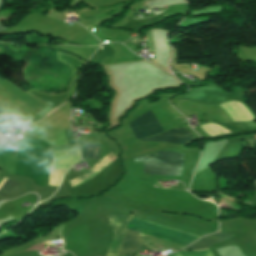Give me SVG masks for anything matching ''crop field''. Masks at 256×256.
<instances>
[{
    "mask_svg": "<svg viewBox=\"0 0 256 256\" xmlns=\"http://www.w3.org/2000/svg\"><path fill=\"white\" fill-rule=\"evenodd\" d=\"M133 219H131V221L129 223L137 225V226H141V227H144V228H147V229H150V230H154V231H157V232H160V233L171 235V236H174V237H177V238H181V239H184V240H187V241L193 242L197 238H200V236L189 234V233L179 231V230H176V229H172V228H168V227H164V226H160V225H157V224L150 223V224H153V225H156V226L167 228V229L177 231V232L187 234V235L197 237V238H193V237L183 235V234H180V233H177V232H173V231L166 230V229H163V228H160V227H156V226H153V225H150V224H146V223H149V222L143 223L145 221L140 222L142 220L136 221L138 219H136V220H133ZM131 224H128V227H127L128 229L138 231V232L150 235V236H154V237L164 239V240L174 242V243L184 245V246H187L188 244L191 243V242H187V241H184V240H181V239L170 237V236H167V235H164V234H160V233H157V232H154V231H150V230H147V229H144V228H141V227H137V226H134V225H131ZM128 229L126 231L125 240H124V243L122 245V248H121V251H120L119 254L137 255L138 251L141 250L142 243H143L145 235L141 234V233H138V232L128 230Z\"/></svg>",
    "mask_w": 256,
    "mask_h": 256,
    "instance_id": "8a807250",
    "label": "crop field"
},
{
    "mask_svg": "<svg viewBox=\"0 0 256 256\" xmlns=\"http://www.w3.org/2000/svg\"><path fill=\"white\" fill-rule=\"evenodd\" d=\"M99 202L112 227V234L107 245V256H117L124 238L126 224L132 214L122 203L109 199Z\"/></svg>",
    "mask_w": 256,
    "mask_h": 256,
    "instance_id": "ac0d7876",
    "label": "crop field"
},
{
    "mask_svg": "<svg viewBox=\"0 0 256 256\" xmlns=\"http://www.w3.org/2000/svg\"><path fill=\"white\" fill-rule=\"evenodd\" d=\"M134 162H151L182 165L183 154L161 150L150 155L134 158ZM145 163L143 174L179 178L182 166Z\"/></svg>",
    "mask_w": 256,
    "mask_h": 256,
    "instance_id": "34b2d1b8",
    "label": "crop field"
},
{
    "mask_svg": "<svg viewBox=\"0 0 256 256\" xmlns=\"http://www.w3.org/2000/svg\"><path fill=\"white\" fill-rule=\"evenodd\" d=\"M129 126L137 140L163 132L152 110L137 117L129 123Z\"/></svg>",
    "mask_w": 256,
    "mask_h": 256,
    "instance_id": "412701ff",
    "label": "crop field"
},
{
    "mask_svg": "<svg viewBox=\"0 0 256 256\" xmlns=\"http://www.w3.org/2000/svg\"><path fill=\"white\" fill-rule=\"evenodd\" d=\"M193 134L185 128L166 131L160 135L142 139L144 141L168 142L172 144H185L191 141Z\"/></svg>",
    "mask_w": 256,
    "mask_h": 256,
    "instance_id": "f4fd0767",
    "label": "crop field"
},
{
    "mask_svg": "<svg viewBox=\"0 0 256 256\" xmlns=\"http://www.w3.org/2000/svg\"><path fill=\"white\" fill-rule=\"evenodd\" d=\"M232 236H233V234H224V233L208 235V236L202 238L201 240L191 244L190 246L186 247L183 250L205 249L206 247H208L212 244L225 241Z\"/></svg>",
    "mask_w": 256,
    "mask_h": 256,
    "instance_id": "dd49c442",
    "label": "crop field"
},
{
    "mask_svg": "<svg viewBox=\"0 0 256 256\" xmlns=\"http://www.w3.org/2000/svg\"><path fill=\"white\" fill-rule=\"evenodd\" d=\"M6 181V178H4V180L2 181V183L0 184V188L3 185V183ZM20 185H18L17 183L7 179V181L5 182V184L2 186V188L0 189V194L3 196H7V195H12L13 193L16 192V190L19 188Z\"/></svg>",
    "mask_w": 256,
    "mask_h": 256,
    "instance_id": "e52e79f7",
    "label": "crop field"
},
{
    "mask_svg": "<svg viewBox=\"0 0 256 256\" xmlns=\"http://www.w3.org/2000/svg\"><path fill=\"white\" fill-rule=\"evenodd\" d=\"M100 149L101 148L99 147L85 144L84 150H83V158L97 159Z\"/></svg>",
    "mask_w": 256,
    "mask_h": 256,
    "instance_id": "d8731c3e",
    "label": "crop field"
},
{
    "mask_svg": "<svg viewBox=\"0 0 256 256\" xmlns=\"http://www.w3.org/2000/svg\"><path fill=\"white\" fill-rule=\"evenodd\" d=\"M169 256H213V254L209 251H192V252H176Z\"/></svg>",
    "mask_w": 256,
    "mask_h": 256,
    "instance_id": "5a996713",
    "label": "crop field"
},
{
    "mask_svg": "<svg viewBox=\"0 0 256 256\" xmlns=\"http://www.w3.org/2000/svg\"><path fill=\"white\" fill-rule=\"evenodd\" d=\"M7 123V118L5 114L0 109V127H3Z\"/></svg>",
    "mask_w": 256,
    "mask_h": 256,
    "instance_id": "3316defc",
    "label": "crop field"
},
{
    "mask_svg": "<svg viewBox=\"0 0 256 256\" xmlns=\"http://www.w3.org/2000/svg\"><path fill=\"white\" fill-rule=\"evenodd\" d=\"M66 132H67L69 144H75L72 132L71 131H66Z\"/></svg>",
    "mask_w": 256,
    "mask_h": 256,
    "instance_id": "28ad6ade",
    "label": "crop field"
}]
</instances>
